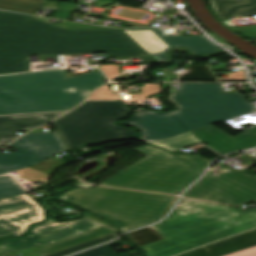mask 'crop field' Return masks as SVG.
Returning <instances> with one entry per match:
<instances>
[{"instance_id": "1", "label": "crop field", "mask_w": 256, "mask_h": 256, "mask_svg": "<svg viewBox=\"0 0 256 256\" xmlns=\"http://www.w3.org/2000/svg\"><path fill=\"white\" fill-rule=\"evenodd\" d=\"M95 52L121 58L149 55L122 30H67L0 11V74L30 71L29 55Z\"/></svg>"}, {"instance_id": "2", "label": "crop field", "mask_w": 256, "mask_h": 256, "mask_svg": "<svg viewBox=\"0 0 256 256\" xmlns=\"http://www.w3.org/2000/svg\"><path fill=\"white\" fill-rule=\"evenodd\" d=\"M252 111L255 109L241 94H221L220 84L181 83L178 110L164 114L136 110L118 123L136 128L140 133L137 140L150 143Z\"/></svg>"}, {"instance_id": "3", "label": "crop field", "mask_w": 256, "mask_h": 256, "mask_svg": "<svg viewBox=\"0 0 256 256\" xmlns=\"http://www.w3.org/2000/svg\"><path fill=\"white\" fill-rule=\"evenodd\" d=\"M256 227V211L182 198L174 211L152 226L165 239L138 247L148 256H172Z\"/></svg>"}, {"instance_id": "4", "label": "crop field", "mask_w": 256, "mask_h": 256, "mask_svg": "<svg viewBox=\"0 0 256 256\" xmlns=\"http://www.w3.org/2000/svg\"><path fill=\"white\" fill-rule=\"evenodd\" d=\"M103 79L100 71L67 78L65 70L0 77V114L69 110L86 98L75 88L90 91Z\"/></svg>"}, {"instance_id": "5", "label": "crop field", "mask_w": 256, "mask_h": 256, "mask_svg": "<svg viewBox=\"0 0 256 256\" xmlns=\"http://www.w3.org/2000/svg\"><path fill=\"white\" fill-rule=\"evenodd\" d=\"M60 199L114 223L124 232L159 220L177 196L96 186L77 188Z\"/></svg>"}, {"instance_id": "6", "label": "crop field", "mask_w": 256, "mask_h": 256, "mask_svg": "<svg viewBox=\"0 0 256 256\" xmlns=\"http://www.w3.org/2000/svg\"><path fill=\"white\" fill-rule=\"evenodd\" d=\"M135 150L146 157L100 185L178 195L201 176L209 162L198 155L172 156L148 145Z\"/></svg>"}, {"instance_id": "7", "label": "crop field", "mask_w": 256, "mask_h": 256, "mask_svg": "<svg viewBox=\"0 0 256 256\" xmlns=\"http://www.w3.org/2000/svg\"><path fill=\"white\" fill-rule=\"evenodd\" d=\"M122 102L86 101L83 105L53 121L68 149L137 137L134 130L113 124L130 114Z\"/></svg>"}, {"instance_id": "8", "label": "crop field", "mask_w": 256, "mask_h": 256, "mask_svg": "<svg viewBox=\"0 0 256 256\" xmlns=\"http://www.w3.org/2000/svg\"><path fill=\"white\" fill-rule=\"evenodd\" d=\"M209 171L183 196L211 202L242 206L256 203V178L239 171L223 173L219 176Z\"/></svg>"}, {"instance_id": "9", "label": "crop field", "mask_w": 256, "mask_h": 256, "mask_svg": "<svg viewBox=\"0 0 256 256\" xmlns=\"http://www.w3.org/2000/svg\"><path fill=\"white\" fill-rule=\"evenodd\" d=\"M157 62H170L171 49L183 47L190 55L208 56L222 49L213 46L203 35L162 37L161 28L123 30Z\"/></svg>"}, {"instance_id": "10", "label": "crop field", "mask_w": 256, "mask_h": 256, "mask_svg": "<svg viewBox=\"0 0 256 256\" xmlns=\"http://www.w3.org/2000/svg\"><path fill=\"white\" fill-rule=\"evenodd\" d=\"M8 146L17 152L0 153V174L29 167L67 150L56 132L26 134Z\"/></svg>"}, {"instance_id": "11", "label": "crop field", "mask_w": 256, "mask_h": 256, "mask_svg": "<svg viewBox=\"0 0 256 256\" xmlns=\"http://www.w3.org/2000/svg\"><path fill=\"white\" fill-rule=\"evenodd\" d=\"M44 218L40 205L26 194L0 200V239L23 235Z\"/></svg>"}, {"instance_id": "12", "label": "crop field", "mask_w": 256, "mask_h": 256, "mask_svg": "<svg viewBox=\"0 0 256 256\" xmlns=\"http://www.w3.org/2000/svg\"><path fill=\"white\" fill-rule=\"evenodd\" d=\"M99 226L102 225L86 218L65 223H57L53 219H49L43 225L34 226L31 234L25 238L4 241L0 246V253H6L39 244H42L43 246Z\"/></svg>"}, {"instance_id": "13", "label": "crop field", "mask_w": 256, "mask_h": 256, "mask_svg": "<svg viewBox=\"0 0 256 256\" xmlns=\"http://www.w3.org/2000/svg\"><path fill=\"white\" fill-rule=\"evenodd\" d=\"M193 135L220 154L256 146V126L232 138L213 125L192 131Z\"/></svg>"}, {"instance_id": "14", "label": "crop field", "mask_w": 256, "mask_h": 256, "mask_svg": "<svg viewBox=\"0 0 256 256\" xmlns=\"http://www.w3.org/2000/svg\"><path fill=\"white\" fill-rule=\"evenodd\" d=\"M179 256H256V229Z\"/></svg>"}, {"instance_id": "15", "label": "crop field", "mask_w": 256, "mask_h": 256, "mask_svg": "<svg viewBox=\"0 0 256 256\" xmlns=\"http://www.w3.org/2000/svg\"><path fill=\"white\" fill-rule=\"evenodd\" d=\"M63 113L0 117V133L28 131Z\"/></svg>"}, {"instance_id": "16", "label": "crop field", "mask_w": 256, "mask_h": 256, "mask_svg": "<svg viewBox=\"0 0 256 256\" xmlns=\"http://www.w3.org/2000/svg\"><path fill=\"white\" fill-rule=\"evenodd\" d=\"M217 17L221 20L233 16H251L256 14V0H209Z\"/></svg>"}, {"instance_id": "17", "label": "crop field", "mask_w": 256, "mask_h": 256, "mask_svg": "<svg viewBox=\"0 0 256 256\" xmlns=\"http://www.w3.org/2000/svg\"><path fill=\"white\" fill-rule=\"evenodd\" d=\"M112 231L113 230H111L105 226H102V227L75 235L73 237L43 246L41 248V256L55 252L57 250H60V249H63V248L69 247V246H72V245H75V244H78V243H82V242L91 240L93 238L99 237L101 235L107 234Z\"/></svg>"}, {"instance_id": "18", "label": "crop field", "mask_w": 256, "mask_h": 256, "mask_svg": "<svg viewBox=\"0 0 256 256\" xmlns=\"http://www.w3.org/2000/svg\"><path fill=\"white\" fill-rule=\"evenodd\" d=\"M43 0H0V9L33 15Z\"/></svg>"}, {"instance_id": "19", "label": "crop field", "mask_w": 256, "mask_h": 256, "mask_svg": "<svg viewBox=\"0 0 256 256\" xmlns=\"http://www.w3.org/2000/svg\"><path fill=\"white\" fill-rule=\"evenodd\" d=\"M197 143H200V141L196 140V138L191 134V132H186L179 136L164 139L162 141L153 143V145L165 148L170 151H175Z\"/></svg>"}, {"instance_id": "20", "label": "crop field", "mask_w": 256, "mask_h": 256, "mask_svg": "<svg viewBox=\"0 0 256 256\" xmlns=\"http://www.w3.org/2000/svg\"><path fill=\"white\" fill-rule=\"evenodd\" d=\"M128 239L136 247L148 244L150 242L163 238L158 232L151 227L133 231L127 234Z\"/></svg>"}, {"instance_id": "21", "label": "crop field", "mask_w": 256, "mask_h": 256, "mask_svg": "<svg viewBox=\"0 0 256 256\" xmlns=\"http://www.w3.org/2000/svg\"><path fill=\"white\" fill-rule=\"evenodd\" d=\"M116 236L117 235L114 232H112L110 234L104 235V236L96 238L94 240H91V241H88V242H85V243H82V244H78V245H75V246L57 251L55 253H52V254H49V255H46V256H66V255H69V254H72V253H75V252L93 247L95 245L104 243L106 241H109V240L113 239Z\"/></svg>"}, {"instance_id": "22", "label": "crop field", "mask_w": 256, "mask_h": 256, "mask_svg": "<svg viewBox=\"0 0 256 256\" xmlns=\"http://www.w3.org/2000/svg\"><path fill=\"white\" fill-rule=\"evenodd\" d=\"M26 193L12 176H0V199Z\"/></svg>"}, {"instance_id": "23", "label": "crop field", "mask_w": 256, "mask_h": 256, "mask_svg": "<svg viewBox=\"0 0 256 256\" xmlns=\"http://www.w3.org/2000/svg\"><path fill=\"white\" fill-rule=\"evenodd\" d=\"M188 73L180 75L179 81L216 80L204 65H189Z\"/></svg>"}, {"instance_id": "24", "label": "crop field", "mask_w": 256, "mask_h": 256, "mask_svg": "<svg viewBox=\"0 0 256 256\" xmlns=\"http://www.w3.org/2000/svg\"><path fill=\"white\" fill-rule=\"evenodd\" d=\"M119 241H114L112 243L106 244L104 246L98 247L96 249L75 255V256H128L127 254L123 253L118 255L114 250L110 247L119 245ZM142 256V255H138Z\"/></svg>"}, {"instance_id": "25", "label": "crop field", "mask_w": 256, "mask_h": 256, "mask_svg": "<svg viewBox=\"0 0 256 256\" xmlns=\"http://www.w3.org/2000/svg\"><path fill=\"white\" fill-rule=\"evenodd\" d=\"M148 87H145V84H141V94L131 95L132 100H143L150 95L160 93L159 84H147Z\"/></svg>"}, {"instance_id": "26", "label": "crop field", "mask_w": 256, "mask_h": 256, "mask_svg": "<svg viewBox=\"0 0 256 256\" xmlns=\"http://www.w3.org/2000/svg\"><path fill=\"white\" fill-rule=\"evenodd\" d=\"M16 172L20 174L19 175L20 177H23L30 181H36V180H41V179L47 180V178L49 177V174L42 173V172L32 170L29 168H25L23 170L16 171Z\"/></svg>"}, {"instance_id": "27", "label": "crop field", "mask_w": 256, "mask_h": 256, "mask_svg": "<svg viewBox=\"0 0 256 256\" xmlns=\"http://www.w3.org/2000/svg\"><path fill=\"white\" fill-rule=\"evenodd\" d=\"M75 4L72 3H61L60 10L54 15L55 18L69 20Z\"/></svg>"}, {"instance_id": "28", "label": "crop field", "mask_w": 256, "mask_h": 256, "mask_svg": "<svg viewBox=\"0 0 256 256\" xmlns=\"http://www.w3.org/2000/svg\"><path fill=\"white\" fill-rule=\"evenodd\" d=\"M117 96H113L108 92V86H103L97 90L91 96L89 99H117Z\"/></svg>"}, {"instance_id": "29", "label": "crop field", "mask_w": 256, "mask_h": 256, "mask_svg": "<svg viewBox=\"0 0 256 256\" xmlns=\"http://www.w3.org/2000/svg\"><path fill=\"white\" fill-rule=\"evenodd\" d=\"M233 29L251 39L256 38V25L233 28Z\"/></svg>"}, {"instance_id": "30", "label": "crop field", "mask_w": 256, "mask_h": 256, "mask_svg": "<svg viewBox=\"0 0 256 256\" xmlns=\"http://www.w3.org/2000/svg\"><path fill=\"white\" fill-rule=\"evenodd\" d=\"M101 69L105 72V74L111 80L114 76L118 75V71L115 65H107V66H100Z\"/></svg>"}, {"instance_id": "31", "label": "crop field", "mask_w": 256, "mask_h": 256, "mask_svg": "<svg viewBox=\"0 0 256 256\" xmlns=\"http://www.w3.org/2000/svg\"><path fill=\"white\" fill-rule=\"evenodd\" d=\"M16 137H18L16 133L0 134V147L8 144Z\"/></svg>"}, {"instance_id": "32", "label": "crop field", "mask_w": 256, "mask_h": 256, "mask_svg": "<svg viewBox=\"0 0 256 256\" xmlns=\"http://www.w3.org/2000/svg\"><path fill=\"white\" fill-rule=\"evenodd\" d=\"M179 95L180 92H170L168 96L169 102L174 103L178 107Z\"/></svg>"}, {"instance_id": "33", "label": "crop field", "mask_w": 256, "mask_h": 256, "mask_svg": "<svg viewBox=\"0 0 256 256\" xmlns=\"http://www.w3.org/2000/svg\"><path fill=\"white\" fill-rule=\"evenodd\" d=\"M84 216H87V217H89V218H91V219H93V220H95V221H98V222H100V223H102V224H104V225H106V226H108V227H110V228H112V229H114V230H116V228L112 225V224H110V223H108V222H105V221H103V220H100V219H98V218H95V217H93V216H91V215H89V214H87V213H85V214H83Z\"/></svg>"}, {"instance_id": "34", "label": "crop field", "mask_w": 256, "mask_h": 256, "mask_svg": "<svg viewBox=\"0 0 256 256\" xmlns=\"http://www.w3.org/2000/svg\"><path fill=\"white\" fill-rule=\"evenodd\" d=\"M244 77L243 70L229 73V78Z\"/></svg>"}, {"instance_id": "35", "label": "crop field", "mask_w": 256, "mask_h": 256, "mask_svg": "<svg viewBox=\"0 0 256 256\" xmlns=\"http://www.w3.org/2000/svg\"><path fill=\"white\" fill-rule=\"evenodd\" d=\"M178 74H165V76L163 77V79L165 81H171V79L177 78Z\"/></svg>"}, {"instance_id": "36", "label": "crop field", "mask_w": 256, "mask_h": 256, "mask_svg": "<svg viewBox=\"0 0 256 256\" xmlns=\"http://www.w3.org/2000/svg\"><path fill=\"white\" fill-rule=\"evenodd\" d=\"M81 88L76 89L73 93H77V94H81V95L87 96L88 92L83 90V89H81Z\"/></svg>"}, {"instance_id": "37", "label": "crop field", "mask_w": 256, "mask_h": 256, "mask_svg": "<svg viewBox=\"0 0 256 256\" xmlns=\"http://www.w3.org/2000/svg\"><path fill=\"white\" fill-rule=\"evenodd\" d=\"M219 81H245L244 78H237V79H218Z\"/></svg>"}, {"instance_id": "38", "label": "crop field", "mask_w": 256, "mask_h": 256, "mask_svg": "<svg viewBox=\"0 0 256 256\" xmlns=\"http://www.w3.org/2000/svg\"><path fill=\"white\" fill-rule=\"evenodd\" d=\"M254 210H256V208Z\"/></svg>"}]
</instances>
